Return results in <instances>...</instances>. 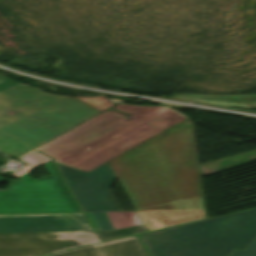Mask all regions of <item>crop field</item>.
<instances>
[{
	"mask_svg": "<svg viewBox=\"0 0 256 256\" xmlns=\"http://www.w3.org/2000/svg\"><path fill=\"white\" fill-rule=\"evenodd\" d=\"M182 98H185V97H182ZM189 99H194V98H189ZM195 100H200V99H195ZM200 101L205 102V103L218 104V105H225V106H232V107H242V108H248V109H256V103H252V104H234V103H224V102H220V101H203V100H200Z\"/></svg>",
	"mask_w": 256,
	"mask_h": 256,
	"instance_id": "crop-field-17",
	"label": "crop field"
},
{
	"mask_svg": "<svg viewBox=\"0 0 256 256\" xmlns=\"http://www.w3.org/2000/svg\"><path fill=\"white\" fill-rule=\"evenodd\" d=\"M182 96H192L202 99H220L224 101L233 102H251L256 101V95H182Z\"/></svg>",
	"mask_w": 256,
	"mask_h": 256,
	"instance_id": "crop-field-12",
	"label": "crop field"
},
{
	"mask_svg": "<svg viewBox=\"0 0 256 256\" xmlns=\"http://www.w3.org/2000/svg\"><path fill=\"white\" fill-rule=\"evenodd\" d=\"M229 256H256V239L245 250H233Z\"/></svg>",
	"mask_w": 256,
	"mask_h": 256,
	"instance_id": "crop-field-16",
	"label": "crop field"
},
{
	"mask_svg": "<svg viewBox=\"0 0 256 256\" xmlns=\"http://www.w3.org/2000/svg\"><path fill=\"white\" fill-rule=\"evenodd\" d=\"M21 161L25 162L26 164H28L27 166L19 169L20 171L12 176L18 178L20 175L44 164L45 162H47L48 160L53 161L51 158L40 154L36 151L30 152L28 154H26L25 156L21 157L20 159Z\"/></svg>",
	"mask_w": 256,
	"mask_h": 256,
	"instance_id": "crop-field-11",
	"label": "crop field"
},
{
	"mask_svg": "<svg viewBox=\"0 0 256 256\" xmlns=\"http://www.w3.org/2000/svg\"><path fill=\"white\" fill-rule=\"evenodd\" d=\"M185 118L165 106L117 104L34 150L88 172Z\"/></svg>",
	"mask_w": 256,
	"mask_h": 256,
	"instance_id": "crop-field-2",
	"label": "crop field"
},
{
	"mask_svg": "<svg viewBox=\"0 0 256 256\" xmlns=\"http://www.w3.org/2000/svg\"><path fill=\"white\" fill-rule=\"evenodd\" d=\"M140 236L153 256H227L256 238V209Z\"/></svg>",
	"mask_w": 256,
	"mask_h": 256,
	"instance_id": "crop-field-3",
	"label": "crop field"
},
{
	"mask_svg": "<svg viewBox=\"0 0 256 256\" xmlns=\"http://www.w3.org/2000/svg\"><path fill=\"white\" fill-rule=\"evenodd\" d=\"M97 241L94 231L0 233V256H40Z\"/></svg>",
	"mask_w": 256,
	"mask_h": 256,
	"instance_id": "crop-field-6",
	"label": "crop field"
},
{
	"mask_svg": "<svg viewBox=\"0 0 256 256\" xmlns=\"http://www.w3.org/2000/svg\"><path fill=\"white\" fill-rule=\"evenodd\" d=\"M46 256H74V254H73V250H69V251H64V252H60V253L50 254V255H46Z\"/></svg>",
	"mask_w": 256,
	"mask_h": 256,
	"instance_id": "crop-field-18",
	"label": "crop field"
},
{
	"mask_svg": "<svg viewBox=\"0 0 256 256\" xmlns=\"http://www.w3.org/2000/svg\"><path fill=\"white\" fill-rule=\"evenodd\" d=\"M92 230L82 213L0 215V232Z\"/></svg>",
	"mask_w": 256,
	"mask_h": 256,
	"instance_id": "crop-field-8",
	"label": "crop field"
},
{
	"mask_svg": "<svg viewBox=\"0 0 256 256\" xmlns=\"http://www.w3.org/2000/svg\"><path fill=\"white\" fill-rule=\"evenodd\" d=\"M53 179L32 180L28 175L0 190V214L80 212L54 163L44 164ZM0 182H8L0 177Z\"/></svg>",
	"mask_w": 256,
	"mask_h": 256,
	"instance_id": "crop-field-5",
	"label": "crop field"
},
{
	"mask_svg": "<svg viewBox=\"0 0 256 256\" xmlns=\"http://www.w3.org/2000/svg\"><path fill=\"white\" fill-rule=\"evenodd\" d=\"M94 230H112L103 213H86Z\"/></svg>",
	"mask_w": 256,
	"mask_h": 256,
	"instance_id": "crop-field-14",
	"label": "crop field"
},
{
	"mask_svg": "<svg viewBox=\"0 0 256 256\" xmlns=\"http://www.w3.org/2000/svg\"><path fill=\"white\" fill-rule=\"evenodd\" d=\"M74 98L0 126V151L15 159L100 113Z\"/></svg>",
	"mask_w": 256,
	"mask_h": 256,
	"instance_id": "crop-field-4",
	"label": "crop field"
},
{
	"mask_svg": "<svg viewBox=\"0 0 256 256\" xmlns=\"http://www.w3.org/2000/svg\"><path fill=\"white\" fill-rule=\"evenodd\" d=\"M2 160H3V162H4L5 164L8 162L7 157L3 158Z\"/></svg>",
	"mask_w": 256,
	"mask_h": 256,
	"instance_id": "crop-field-19",
	"label": "crop field"
},
{
	"mask_svg": "<svg viewBox=\"0 0 256 256\" xmlns=\"http://www.w3.org/2000/svg\"><path fill=\"white\" fill-rule=\"evenodd\" d=\"M75 256H100L99 244L74 250Z\"/></svg>",
	"mask_w": 256,
	"mask_h": 256,
	"instance_id": "crop-field-15",
	"label": "crop field"
},
{
	"mask_svg": "<svg viewBox=\"0 0 256 256\" xmlns=\"http://www.w3.org/2000/svg\"><path fill=\"white\" fill-rule=\"evenodd\" d=\"M77 98L101 112L110 108L112 105L116 104L114 102L107 100L104 96H94V97L77 96Z\"/></svg>",
	"mask_w": 256,
	"mask_h": 256,
	"instance_id": "crop-field-13",
	"label": "crop field"
},
{
	"mask_svg": "<svg viewBox=\"0 0 256 256\" xmlns=\"http://www.w3.org/2000/svg\"><path fill=\"white\" fill-rule=\"evenodd\" d=\"M101 256H148L136 236L100 244Z\"/></svg>",
	"mask_w": 256,
	"mask_h": 256,
	"instance_id": "crop-field-10",
	"label": "crop field"
},
{
	"mask_svg": "<svg viewBox=\"0 0 256 256\" xmlns=\"http://www.w3.org/2000/svg\"><path fill=\"white\" fill-rule=\"evenodd\" d=\"M57 165L85 212L121 211L109 190L116 176L108 162L89 173Z\"/></svg>",
	"mask_w": 256,
	"mask_h": 256,
	"instance_id": "crop-field-7",
	"label": "crop field"
},
{
	"mask_svg": "<svg viewBox=\"0 0 256 256\" xmlns=\"http://www.w3.org/2000/svg\"><path fill=\"white\" fill-rule=\"evenodd\" d=\"M114 231H96L101 241L144 231L136 212L104 213Z\"/></svg>",
	"mask_w": 256,
	"mask_h": 256,
	"instance_id": "crop-field-9",
	"label": "crop field"
},
{
	"mask_svg": "<svg viewBox=\"0 0 256 256\" xmlns=\"http://www.w3.org/2000/svg\"><path fill=\"white\" fill-rule=\"evenodd\" d=\"M108 162L147 231L204 218L188 119Z\"/></svg>",
	"mask_w": 256,
	"mask_h": 256,
	"instance_id": "crop-field-1",
	"label": "crop field"
}]
</instances>
